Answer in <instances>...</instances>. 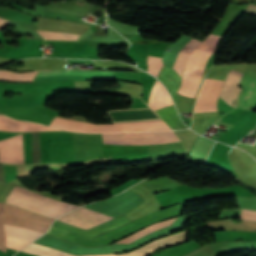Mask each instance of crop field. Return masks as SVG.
Instances as JSON below:
<instances>
[{
    "label": "crop field",
    "instance_id": "crop-field-1",
    "mask_svg": "<svg viewBox=\"0 0 256 256\" xmlns=\"http://www.w3.org/2000/svg\"><path fill=\"white\" fill-rule=\"evenodd\" d=\"M113 124L156 121L161 120L158 115L150 108L125 109L108 111ZM62 130L89 132V133H106V132H139V131H162L170 130L163 121L117 124V125H90L81 122L54 119L50 125Z\"/></svg>",
    "mask_w": 256,
    "mask_h": 256
},
{
    "label": "crop field",
    "instance_id": "crop-field-2",
    "mask_svg": "<svg viewBox=\"0 0 256 256\" xmlns=\"http://www.w3.org/2000/svg\"><path fill=\"white\" fill-rule=\"evenodd\" d=\"M181 211L182 203L171 208H168L166 210L153 212L137 221H134L130 224L122 226L101 236H98L94 239H89L87 237L72 232H68L53 226H51V228L47 231V234L86 246L108 244L120 238H123L131 233H134L154 222H158L167 218L180 215Z\"/></svg>",
    "mask_w": 256,
    "mask_h": 256
},
{
    "label": "crop field",
    "instance_id": "crop-field-3",
    "mask_svg": "<svg viewBox=\"0 0 256 256\" xmlns=\"http://www.w3.org/2000/svg\"><path fill=\"white\" fill-rule=\"evenodd\" d=\"M6 202L55 219L58 216L79 207L40 195L18 186H16L7 197Z\"/></svg>",
    "mask_w": 256,
    "mask_h": 256
},
{
    "label": "crop field",
    "instance_id": "crop-field-4",
    "mask_svg": "<svg viewBox=\"0 0 256 256\" xmlns=\"http://www.w3.org/2000/svg\"><path fill=\"white\" fill-rule=\"evenodd\" d=\"M220 39V36L210 34L205 41L189 54L181 77V87L178 94L192 98L196 90L200 68L205 58L214 53Z\"/></svg>",
    "mask_w": 256,
    "mask_h": 256
},
{
    "label": "crop field",
    "instance_id": "crop-field-5",
    "mask_svg": "<svg viewBox=\"0 0 256 256\" xmlns=\"http://www.w3.org/2000/svg\"><path fill=\"white\" fill-rule=\"evenodd\" d=\"M187 231H183L181 233H177L175 235H171L166 238L153 241L145 245L144 247L137 249L128 254H121V255L105 254V255H84V256H147L158 248L169 247V246H173L178 243L184 242L185 240H187ZM22 251L31 253V254L41 255V256H75V255H71L58 250L46 248L34 243L28 245L27 247L22 249Z\"/></svg>",
    "mask_w": 256,
    "mask_h": 256
},
{
    "label": "crop field",
    "instance_id": "crop-field-6",
    "mask_svg": "<svg viewBox=\"0 0 256 256\" xmlns=\"http://www.w3.org/2000/svg\"><path fill=\"white\" fill-rule=\"evenodd\" d=\"M102 136L104 143L112 144H158L178 140L173 131L102 134Z\"/></svg>",
    "mask_w": 256,
    "mask_h": 256
},
{
    "label": "crop field",
    "instance_id": "crop-field-7",
    "mask_svg": "<svg viewBox=\"0 0 256 256\" xmlns=\"http://www.w3.org/2000/svg\"><path fill=\"white\" fill-rule=\"evenodd\" d=\"M223 81L206 78L195 105L194 112L218 111L216 101L221 93Z\"/></svg>",
    "mask_w": 256,
    "mask_h": 256
},
{
    "label": "crop field",
    "instance_id": "crop-field-8",
    "mask_svg": "<svg viewBox=\"0 0 256 256\" xmlns=\"http://www.w3.org/2000/svg\"><path fill=\"white\" fill-rule=\"evenodd\" d=\"M110 219L113 218L81 208L60 217L58 220L75 225L80 228L88 229Z\"/></svg>",
    "mask_w": 256,
    "mask_h": 256
},
{
    "label": "crop field",
    "instance_id": "crop-field-9",
    "mask_svg": "<svg viewBox=\"0 0 256 256\" xmlns=\"http://www.w3.org/2000/svg\"><path fill=\"white\" fill-rule=\"evenodd\" d=\"M0 162L24 163L22 134L0 141Z\"/></svg>",
    "mask_w": 256,
    "mask_h": 256
},
{
    "label": "crop field",
    "instance_id": "crop-field-10",
    "mask_svg": "<svg viewBox=\"0 0 256 256\" xmlns=\"http://www.w3.org/2000/svg\"><path fill=\"white\" fill-rule=\"evenodd\" d=\"M132 221L131 219H129L125 214L111 220L108 221L104 224H101L99 226H96L94 228H91L89 230H81L79 228H76L74 226L68 225L66 223L60 222L58 220H56V222L53 224V226L65 229V230H69L87 237H94L96 235H99L103 232L109 231L111 229H114L116 227H119L121 225H124L128 222Z\"/></svg>",
    "mask_w": 256,
    "mask_h": 256
},
{
    "label": "crop field",
    "instance_id": "crop-field-11",
    "mask_svg": "<svg viewBox=\"0 0 256 256\" xmlns=\"http://www.w3.org/2000/svg\"><path fill=\"white\" fill-rule=\"evenodd\" d=\"M228 75V74H227ZM242 73L236 72L231 70L229 75L227 76L224 85H223V90H222V94H221V98H223L224 92L225 90H231V91H235L241 78H242ZM242 89H237L236 93L235 92H230V91H226L223 100H225L227 103H229L231 106H233L234 108L237 106V100H233L234 97V93H235V97L234 99L238 98V94L240 93Z\"/></svg>",
    "mask_w": 256,
    "mask_h": 256
},
{
    "label": "crop field",
    "instance_id": "crop-field-12",
    "mask_svg": "<svg viewBox=\"0 0 256 256\" xmlns=\"http://www.w3.org/2000/svg\"><path fill=\"white\" fill-rule=\"evenodd\" d=\"M101 75H114V72L96 71V70H71L59 69L46 72H39L36 78L41 77H57V76H101Z\"/></svg>",
    "mask_w": 256,
    "mask_h": 256
},
{
    "label": "crop field",
    "instance_id": "crop-field-13",
    "mask_svg": "<svg viewBox=\"0 0 256 256\" xmlns=\"http://www.w3.org/2000/svg\"><path fill=\"white\" fill-rule=\"evenodd\" d=\"M170 104H173V103L169 94L161 85V83L156 81L150 93L148 105L152 107L154 110H156L158 108H161Z\"/></svg>",
    "mask_w": 256,
    "mask_h": 256
},
{
    "label": "crop field",
    "instance_id": "crop-field-14",
    "mask_svg": "<svg viewBox=\"0 0 256 256\" xmlns=\"http://www.w3.org/2000/svg\"><path fill=\"white\" fill-rule=\"evenodd\" d=\"M4 225L5 233L6 236H11V237H16L20 238L26 241H34L37 239L39 236H41L43 233L22 228V227H15V226H9V225Z\"/></svg>",
    "mask_w": 256,
    "mask_h": 256
},
{
    "label": "crop field",
    "instance_id": "crop-field-15",
    "mask_svg": "<svg viewBox=\"0 0 256 256\" xmlns=\"http://www.w3.org/2000/svg\"><path fill=\"white\" fill-rule=\"evenodd\" d=\"M156 112L172 129L186 128L177 116L173 105L156 110Z\"/></svg>",
    "mask_w": 256,
    "mask_h": 256
},
{
    "label": "crop field",
    "instance_id": "crop-field-16",
    "mask_svg": "<svg viewBox=\"0 0 256 256\" xmlns=\"http://www.w3.org/2000/svg\"><path fill=\"white\" fill-rule=\"evenodd\" d=\"M38 71L16 73L8 70H0V80L13 82H32Z\"/></svg>",
    "mask_w": 256,
    "mask_h": 256
},
{
    "label": "crop field",
    "instance_id": "crop-field-17",
    "mask_svg": "<svg viewBox=\"0 0 256 256\" xmlns=\"http://www.w3.org/2000/svg\"><path fill=\"white\" fill-rule=\"evenodd\" d=\"M200 42L192 39L190 40L186 46L179 52L174 67L173 69L178 73L179 76H181L185 61L187 59L188 54L195 49V47L199 44Z\"/></svg>",
    "mask_w": 256,
    "mask_h": 256
},
{
    "label": "crop field",
    "instance_id": "crop-field-18",
    "mask_svg": "<svg viewBox=\"0 0 256 256\" xmlns=\"http://www.w3.org/2000/svg\"><path fill=\"white\" fill-rule=\"evenodd\" d=\"M175 219H170V220H167V221H163L161 223H157V224H154V225L149 226L147 228H144V229L138 231L137 233H135V234H133V235H131L129 237H126V238H124V239H122V240H120V241H118L116 243H130V242H132V241H134V240H136V239H138V238H140V237H142V236H144V235H146V234H148L150 232H153L155 230H158L160 228L168 226Z\"/></svg>",
    "mask_w": 256,
    "mask_h": 256
},
{
    "label": "crop field",
    "instance_id": "crop-field-19",
    "mask_svg": "<svg viewBox=\"0 0 256 256\" xmlns=\"http://www.w3.org/2000/svg\"><path fill=\"white\" fill-rule=\"evenodd\" d=\"M147 183L149 184V186L152 188L153 191H164L166 189H170L173 187H177L181 184L169 179L167 176L165 177H160L157 178L155 180H151V181H147Z\"/></svg>",
    "mask_w": 256,
    "mask_h": 256
},
{
    "label": "crop field",
    "instance_id": "crop-field-20",
    "mask_svg": "<svg viewBox=\"0 0 256 256\" xmlns=\"http://www.w3.org/2000/svg\"><path fill=\"white\" fill-rule=\"evenodd\" d=\"M44 39H53V40H70L77 41L79 35L69 34V33H55V32H46V31H37Z\"/></svg>",
    "mask_w": 256,
    "mask_h": 256
},
{
    "label": "crop field",
    "instance_id": "crop-field-21",
    "mask_svg": "<svg viewBox=\"0 0 256 256\" xmlns=\"http://www.w3.org/2000/svg\"><path fill=\"white\" fill-rule=\"evenodd\" d=\"M147 63H148L147 72L155 76H158L159 71L163 66L162 58L148 56Z\"/></svg>",
    "mask_w": 256,
    "mask_h": 256
},
{
    "label": "crop field",
    "instance_id": "crop-field-22",
    "mask_svg": "<svg viewBox=\"0 0 256 256\" xmlns=\"http://www.w3.org/2000/svg\"><path fill=\"white\" fill-rule=\"evenodd\" d=\"M4 208H5V204L0 203V249L3 252H5L6 250V240H5V234L2 226Z\"/></svg>",
    "mask_w": 256,
    "mask_h": 256
},
{
    "label": "crop field",
    "instance_id": "crop-field-23",
    "mask_svg": "<svg viewBox=\"0 0 256 256\" xmlns=\"http://www.w3.org/2000/svg\"><path fill=\"white\" fill-rule=\"evenodd\" d=\"M6 239H7V247L17 249V250L23 248L24 246H26L27 244L30 243V242L13 239V238H9V237H6Z\"/></svg>",
    "mask_w": 256,
    "mask_h": 256
},
{
    "label": "crop field",
    "instance_id": "crop-field-24",
    "mask_svg": "<svg viewBox=\"0 0 256 256\" xmlns=\"http://www.w3.org/2000/svg\"><path fill=\"white\" fill-rule=\"evenodd\" d=\"M243 211L256 213V212H254V211H247V210H243ZM245 212H242L241 219L256 221V214H253V213H245Z\"/></svg>",
    "mask_w": 256,
    "mask_h": 256
},
{
    "label": "crop field",
    "instance_id": "crop-field-25",
    "mask_svg": "<svg viewBox=\"0 0 256 256\" xmlns=\"http://www.w3.org/2000/svg\"><path fill=\"white\" fill-rule=\"evenodd\" d=\"M10 22H7V21H5V20H3V19H0V30L1 29H4V27L7 25V24H9Z\"/></svg>",
    "mask_w": 256,
    "mask_h": 256
}]
</instances>
